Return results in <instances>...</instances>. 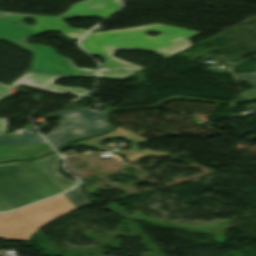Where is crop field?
Here are the masks:
<instances>
[{
	"instance_id": "crop-field-4",
	"label": "crop field",
	"mask_w": 256,
	"mask_h": 256,
	"mask_svg": "<svg viewBox=\"0 0 256 256\" xmlns=\"http://www.w3.org/2000/svg\"><path fill=\"white\" fill-rule=\"evenodd\" d=\"M76 209L63 195L0 214V238L26 240L44 223Z\"/></svg>"
},
{
	"instance_id": "crop-field-10",
	"label": "crop field",
	"mask_w": 256,
	"mask_h": 256,
	"mask_svg": "<svg viewBox=\"0 0 256 256\" xmlns=\"http://www.w3.org/2000/svg\"><path fill=\"white\" fill-rule=\"evenodd\" d=\"M65 196L77 207L90 203L78 186L66 192Z\"/></svg>"
},
{
	"instance_id": "crop-field-8",
	"label": "crop field",
	"mask_w": 256,
	"mask_h": 256,
	"mask_svg": "<svg viewBox=\"0 0 256 256\" xmlns=\"http://www.w3.org/2000/svg\"><path fill=\"white\" fill-rule=\"evenodd\" d=\"M57 154H52L46 157L32 160L48 178L63 192L72 187L76 181L69 180L58 173L57 163L61 161Z\"/></svg>"
},
{
	"instance_id": "crop-field-9",
	"label": "crop field",
	"mask_w": 256,
	"mask_h": 256,
	"mask_svg": "<svg viewBox=\"0 0 256 256\" xmlns=\"http://www.w3.org/2000/svg\"><path fill=\"white\" fill-rule=\"evenodd\" d=\"M235 75L238 81H246L254 87L248 91L240 93L235 102L256 98V72Z\"/></svg>"
},
{
	"instance_id": "crop-field-12",
	"label": "crop field",
	"mask_w": 256,
	"mask_h": 256,
	"mask_svg": "<svg viewBox=\"0 0 256 256\" xmlns=\"http://www.w3.org/2000/svg\"><path fill=\"white\" fill-rule=\"evenodd\" d=\"M11 88L8 85L0 84V100L6 98L7 96L11 95L12 93H9L8 91L11 90Z\"/></svg>"
},
{
	"instance_id": "crop-field-1",
	"label": "crop field",
	"mask_w": 256,
	"mask_h": 256,
	"mask_svg": "<svg viewBox=\"0 0 256 256\" xmlns=\"http://www.w3.org/2000/svg\"><path fill=\"white\" fill-rule=\"evenodd\" d=\"M26 18L34 19L37 24H25L22 20ZM51 31H58L72 39L80 38L87 32L71 28L58 17L0 12V39L34 53L32 69L10 86L23 84L60 94L70 92L76 96L90 92L84 88L58 86L53 82L60 77L95 76L97 70L74 66L71 59L57 54L50 46L27 43L29 36Z\"/></svg>"
},
{
	"instance_id": "crop-field-11",
	"label": "crop field",
	"mask_w": 256,
	"mask_h": 256,
	"mask_svg": "<svg viewBox=\"0 0 256 256\" xmlns=\"http://www.w3.org/2000/svg\"><path fill=\"white\" fill-rule=\"evenodd\" d=\"M133 73L135 72H104V73H100L98 78H106V79L123 78Z\"/></svg>"
},
{
	"instance_id": "crop-field-6",
	"label": "crop field",
	"mask_w": 256,
	"mask_h": 256,
	"mask_svg": "<svg viewBox=\"0 0 256 256\" xmlns=\"http://www.w3.org/2000/svg\"><path fill=\"white\" fill-rule=\"evenodd\" d=\"M49 150V145L35 133L0 136V160L35 156Z\"/></svg>"
},
{
	"instance_id": "crop-field-2",
	"label": "crop field",
	"mask_w": 256,
	"mask_h": 256,
	"mask_svg": "<svg viewBox=\"0 0 256 256\" xmlns=\"http://www.w3.org/2000/svg\"><path fill=\"white\" fill-rule=\"evenodd\" d=\"M160 32L156 37L145 33ZM200 33L171 27L163 24L129 28L110 32H93L80 42V46L91 55H101L106 61L102 71H138L143 67L136 66L113 57L118 49H139L155 52L165 58L190 47L188 39Z\"/></svg>"
},
{
	"instance_id": "crop-field-7",
	"label": "crop field",
	"mask_w": 256,
	"mask_h": 256,
	"mask_svg": "<svg viewBox=\"0 0 256 256\" xmlns=\"http://www.w3.org/2000/svg\"><path fill=\"white\" fill-rule=\"evenodd\" d=\"M120 0H86L70 6V9L60 15L63 19L97 17L104 19L116 11Z\"/></svg>"
},
{
	"instance_id": "crop-field-5",
	"label": "crop field",
	"mask_w": 256,
	"mask_h": 256,
	"mask_svg": "<svg viewBox=\"0 0 256 256\" xmlns=\"http://www.w3.org/2000/svg\"><path fill=\"white\" fill-rule=\"evenodd\" d=\"M53 115L61 117L60 124L44 137L56 148L77 137L110 128V123L105 118L106 113L100 111L73 109L47 114Z\"/></svg>"
},
{
	"instance_id": "crop-field-3",
	"label": "crop field",
	"mask_w": 256,
	"mask_h": 256,
	"mask_svg": "<svg viewBox=\"0 0 256 256\" xmlns=\"http://www.w3.org/2000/svg\"><path fill=\"white\" fill-rule=\"evenodd\" d=\"M58 193L60 191L30 161L0 164V212Z\"/></svg>"
},
{
	"instance_id": "crop-field-13",
	"label": "crop field",
	"mask_w": 256,
	"mask_h": 256,
	"mask_svg": "<svg viewBox=\"0 0 256 256\" xmlns=\"http://www.w3.org/2000/svg\"><path fill=\"white\" fill-rule=\"evenodd\" d=\"M7 119H0V134H4Z\"/></svg>"
}]
</instances>
